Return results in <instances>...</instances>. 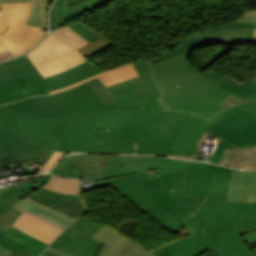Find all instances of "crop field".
I'll return each mask as SVG.
<instances>
[{
    "label": "crop field",
    "mask_w": 256,
    "mask_h": 256,
    "mask_svg": "<svg viewBox=\"0 0 256 256\" xmlns=\"http://www.w3.org/2000/svg\"><path fill=\"white\" fill-rule=\"evenodd\" d=\"M230 171L187 160L184 192L172 194L207 197L184 222L196 234L165 245L153 255L200 256L215 247L222 256H252L245 245L256 243V203L226 202Z\"/></svg>",
    "instance_id": "1"
},
{
    "label": "crop field",
    "mask_w": 256,
    "mask_h": 256,
    "mask_svg": "<svg viewBox=\"0 0 256 256\" xmlns=\"http://www.w3.org/2000/svg\"><path fill=\"white\" fill-rule=\"evenodd\" d=\"M133 64L146 90L113 97L119 111L70 116V126H64L60 139L136 144V154L198 160L200 151L182 157L167 148L189 113L162 111L157 100L161 95L145 60Z\"/></svg>",
    "instance_id": "2"
},
{
    "label": "crop field",
    "mask_w": 256,
    "mask_h": 256,
    "mask_svg": "<svg viewBox=\"0 0 256 256\" xmlns=\"http://www.w3.org/2000/svg\"><path fill=\"white\" fill-rule=\"evenodd\" d=\"M208 135L220 140L210 161L212 163H219L225 148L255 147L256 102L231 107L210 122L190 114L169 147L177 148V155L191 156L194 149H200Z\"/></svg>",
    "instance_id": "3"
},
{
    "label": "crop field",
    "mask_w": 256,
    "mask_h": 256,
    "mask_svg": "<svg viewBox=\"0 0 256 256\" xmlns=\"http://www.w3.org/2000/svg\"><path fill=\"white\" fill-rule=\"evenodd\" d=\"M185 165L186 160L183 171L110 186L171 231L179 230V234L191 235L192 232L181 222L199 207L203 198L171 195V189L183 191Z\"/></svg>",
    "instance_id": "4"
},
{
    "label": "crop field",
    "mask_w": 256,
    "mask_h": 256,
    "mask_svg": "<svg viewBox=\"0 0 256 256\" xmlns=\"http://www.w3.org/2000/svg\"><path fill=\"white\" fill-rule=\"evenodd\" d=\"M160 92L163 98L158 100L163 110L190 112L210 121L222 110L240 104L219 106L215 103L225 100L232 94L239 98L248 97L256 92V83L251 78L242 82L231 79L214 85L160 90Z\"/></svg>",
    "instance_id": "5"
},
{
    "label": "crop field",
    "mask_w": 256,
    "mask_h": 256,
    "mask_svg": "<svg viewBox=\"0 0 256 256\" xmlns=\"http://www.w3.org/2000/svg\"><path fill=\"white\" fill-rule=\"evenodd\" d=\"M14 105L19 118H69V115L118 110L115 103L102 105L87 82L50 96L20 100Z\"/></svg>",
    "instance_id": "6"
},
{
    "label": "crop field",
    "mask_w": 256,
    "mask_h": 256,
    "mask_svg": "<svg viewBox=\"0 0 256 256\" xmlns=\"http://www.w3.org/2000/svg\"><path fill=\"white\" fill-rule=\"evenodd\" d=\"M31 2L2 4L0 41L15 55L33 48L45 32L25 25L30 16Z\"/></svg>",
    "instance_id": "7"
},
{
    "label": "crop field",
    "mask_w": 256,
    "mask_h": 256,
    "mask_svg": "<svg viewBox=\"0 0 256 256\" xmlns=\"http://www.w3.org/2000/svg\"><path fill=\"white\" fill-rule=\"evenodd\" d=\"M189 51L153 66H151L149 59L146 60L159 89L208 85L233 78L228 75L221 76L213 70L199 73L186 60Z\"/></svg>",
    "instance_id": "8"
},
{
    "label": "crop field",
    "mask_w": 256,
    "mask_h": 256,
    "mask_svg": "<svg viewBox=\"0 0 256 256\" xmlns=\"http://www.w3.org/2000/svg\"><path fill=\"white\" fill-rule=\"evenodd\" d=\"M26 55L40 71L43 78L72 68L86 60L76 50L61 43L51 33Z\"/></svg>",
    "instance_id": "9"
},
{
    "label": "crop field",
    "mask_w": 256,
    "mask_h": 256,
    "mask_svg": "<svg viewBox=\"0 0 256 256\" xmlns=\"http://www.w3.org/2000/svg\"><path fill=\"white\" fill-rule=\"evenodd\" d=\"M98 229L99 227L80 217L51 246L74 256H95L102 243L89 237Z\"/></svg>",
    "instance_id": "10"
},
{
    "label": "crop field",
    "mask_w": 256,
    "mask_h": 256,
    "mask_svg": "<svg viewBox=\"0 0 256 256\" xmlns=\"http://www.w3.org/2000/svg\"><path fill=\"white\" fill-rule=\"evenodd\" d=\"M185 43L175 49L150 60L151 64L178 55L188 49L209 46L217 43H253V28L224 29L195 35L183 39Z\"/></svg>",
    "instance_id": "11"
},
{
    "label": "crop field",
    "mask_w": 256,
    "mask_h": 256,
    "mask_svg": "<svg viewBox=\"0 0 256 256\" xmlns=\"http://www.w3.org/2000/svg\"><path fill=\"white\" fill-rule=\"evenodd\" d=\"M0 76L9 89L29 83L36 95L48 94L47 83L26 55L0 64Z\"/></svg>",
    "instance_id": "12"
},
{
    "label": "crop field",
    "mask_w": 256,
    "mask_h": 256,
    "mask_svg": "<svg viewBox=\"0 0 256 256\" xmlns=\"http://www.w3.org/2000/svg\"><path fill=\"white\" fill-rule=\"evenodd\" d=\"M22 141L45 145V152L49 158L53 152L64 124L68 119H20Z\"/></svg>",
    "instance_id": "13"
},
{
    "label": "crop field",
    "mask_w": 256,
    "mask_h": 256,
    "mask_svg": "<svg viewBox=\"0 0 256 256\" xmlns=\"http://www.w3.org/2000/svg\"><path fill=\"white\" fill-rule=\"evenodd\" d=\"M21 191L17 186L11 187L0 195V206L5 210L0 212V235L4 232L40 249L45 250L48 244L20 231L19 229L11 226L14 221L22 214L12 206L20 199L15 195Z\"/></svg>",
    "instance_id": "14"
},
{
    "label": "crop field",
    "mask_w": 256,
    "mask_h": 256,
    "mask_svg": "<svg viewBox=\"0 0 256 256\" xmlns=\"http://www.w3.org/2000/svg\"><path fill=\"white\" fill-rule=\"evenodd\" d=\"M50 173L77 179L99 176L101 175L100 156L85 154L66 156L57 163Z\"/></svg>",
    "instance_id": "15"
},
{
    "label": "crop field",
    "mask_w": 256,
    "mask_h": 256,
    "mask_svg": "<svg viewBox=\"0 0 256 256\" xmlns=\"http://www.w3.org/2000/svg\"><path fill=\"white\" fill-rule=\"evenodd\" d=\"M183 160L157 156V163L134 164L117 167H104V156H101L102 176L94 178H81V181L100 180L105 178L118 177L125 174L139 171L158 169V174L182 170Z\"/></svg>",
    "instance_id": "16"
},
{
    "label": "crop field",
    "mask_w": 256,
    "mask_h": 256,
    "mask_svg": "<svg viewBox=\"0 0 256 256\" xmlns=\"http://www.w3.org/2000/svg\"><path fill=\"white\" fill-rule=\"evenodd\" d=\"M110 0H56L51 8L50 31L66 24L65 18L101 6Z\"/></svg>",
    "instance_id": "17"
},
{
    "label": "crop field",
    "mask_w": 256,
    "mask_h": 256,
    "mask_svg": "<svg viewBox=\"0 0 256 256\" xmlns=\"http://www.w3.org/2000/svg\"><path fill=\"white\" fill-rule=\"evenodd\" d=\"M255 174L232 169L227 201L256 202Z\"/></svg>",
    "instance_id": "18"
},
{
    "label": "crop field",
    "mask_w": 256,
    "mask_h": 256,
    "mask_svg": "<svg viewBox=\"0 0 256 256\" xmlns=\"http://www.w3.org/2000/svg\"><path fill=\"white\" fill-rule=\"evenodd\" d=\"M91 238L104 243L99 251V256H108L116 248H118L128 238L114 230L113 228L103 225ZM119 256H152L137 245H133Z\"/></svg>",
    "instance_id": "19"
},
{
    "label": "crop field",
    "mask_w": 256,
    "mask_h": 256,
    "mask_svg": "<svg viewBox=\"0 0 256 256\" xmlns=\"http://www.w3.org/2000/svg\"><path fill=\"white\" fill-rule=\"evenodd\" d=\"M49 223L27 210L16 220L14 226L50 244L63 230Z\"/></svg>",
    "instance_id": "20"
},
{
    "label": "crop field",
    "mask_w": 256,
    "mask_h": 256,
    "mask_svg": "<svg viewBox=\"0 0 256 256\" xmlns=\"http://www.w3.org/2000/svg\"><path fill=\"white\" fill-rule=\"evenodd\" d=\"M15 133V157L17 161L29 160L38 158L43 163L48 159L45 152L44 146L33 143L21 142V128L17 118L16 110L13 103L8 104Z\"/></svg>",
    "instance_id": "21"
},
{
    "label": "crop field",
    "mask_w": 256,
    "mask_h": 256,
    "mask_svg": "<svg viewBox=\"0 0 256 256\" xmlns=\"http://www.w3.org/2000/svg\"><path fill=\"white\" fill-rule=\"evenodd\" d=\"M56 151L61 152H107V153H131L134 145H119L94 142H74L60 140Z\"/></svg>",
    "instance_id": "22"
},
{
    "label": "crop field",
    "mask_w": 256,
    "mask_h": 256,
    "mask_svg": "<svg viewBox=\"0 0 256 256\" xmlns=\"http://www.w3.org/2000/svg\"><path fill=\"white\" fill-rule=\"evenodd\" d=\"M14 156V133L8 106H0V162Z\"/></svg>",
    "instance_id": "23"
},
{
    "label": "crop field",
    "mask_w": 256,
    "mask_h": 256,
    "mask_svg": "<svg viewBox=\"0 0 256 256\" xmlns=\"http://www.w3.org/2000/svg\"><path fill=\"white\" fill-rule=\"evenodd\" d=\"M220 164L243 169H256V147L236 150L226 149Z\"/></svg>",
    "instance_id": "24"
},
{
    "label": "crop field",
    "mask_w": 256,
    "mask_h": 256,
    "mask_svg": "<svg viewBox=\"0 0 256 256\" xmlns=\"http://www.w3.org/2000/svg\"><path fill=\"white\" fill-rule=\"evenodd\" d=\"M30 197L46 205L52 206L58 210L64 211L77 218L81 216L86 210V208L82 205L81 201L56 199L51 196L44 195L39 191L32 193Z\"/></svg>",
    "instance_id": "25"
},
{
    "label": "crop field",
    "mask_w": 256,
    "mask_h": 256,
    "mask_svg": "<svg viewBox=\"0 0 256 256\" xmlns=\"http://www.w3.org/2000/svg\"><path fill=\"white\" fill-rule=\"evenodd\" d=\"M99 70L92 66L88 61L69 70L62 71L55 75L45 78V81L49 85V89L55 86L63 85L69 81L80 78L88 73Z\"/></svg>",
    "instance_id": "26"
},
{
    "label": "crop field",
    "mask_w": 256,
    "mask_h": 256,
    "mask_svg": "<svg viewBox=\"0 0 256 256\" xmlns=\"http://www.w3.org/2000/svg\"><path fill=\"white\" fill-rule=\"evenodd\" d=\"M137 72L131 62L124 64L120 67L109 69L99 75V78L106 86L113 83L137 76Z\"/></svg>",
    "instance_id": "27"
},
{
    "label": "crop field",
    "mask_w": 256,
    "mask_h": 256,
    "mask_svg": "<svg viewBox=\"0 0 256 256\" xmlns=\"http://www.w3.org/2000/svg\"><path fill=\"white\" fill-rule=\"evenodd\" d=\"M32 1L31 17L27 24L32 26L43 27L46 29V13L48 4L52 0H12V2ZM10 3V0L2 1Z\"/></svg>",
    "instance_id": "28"
},
{
    "label": "crop field",
    "mask_w": 256,
    "mask_h": 256,
    "mask_svg": "<svg viewBox=\"0 0 256 256\" xmlns=\"http://www.w3.org/2000/svg\"><path fill=\"white\" fill-rule=\"evenodd\" d=\"M42 187L55 192L78 195V180L74 179L58 177L54 175Z\"/></svg>",
    "instance_id": "29"
},
{
    "label": "crop field",
    "mask_w": 256,
    "mask_h": 256,
    "mask_svg": "<svg viewBox=\"0 0 256 256\" xmlns=\"http://www.w3.org/2000/svg\"><path fill=\"white\" fill-rule=\"evenodd\" d=\"M54 36H56L60 41L68 44L69 46L73 47L76 50H79L81 47H83L85 44L89 43L86 39L81 37L79 34H77L75 31H73L71 28L63 27L56 29L51 32Z\"/></svg>",
    "instance_id": "30"
},
{
    "label": "crop field",
    "mask_w": 256,
    "mask_h": 256,
    "mask_svg": "<svg viewBox=\"0 0 256 256\" xmlns=\"http://www.w3.org/2000/svg\"><path fill=\"white\" fill-rule=\"evenodd\" d=\"M156 162V156L105 155V166Z\"/></svg>",
    "instance_id": "31"
},
{
    "label": "crop field",
    "mask_w": 256,
    "mask_h": 256,
    "mask_svg": "<svg viewBox=\"0 0 256 256\" xmlns=\"http://www.w3.org/2000/svg\"><path fill=\"white\" fill-rule=\"evenodd\" d=\"M81 23L83 25H85L87 28H89L90 30H92L93 32L97 33L98 35H100L101 37L98 38L97 40L91 42L90 44L84 46L83 48H81L79 51L80 54H82L85 58H88L104 49H106L107 47L111 46L112 43L110 40H108L106 37H104L103 35H101L99 32H97L96 30L92 29L91 27L87 26L86 24H84L82 21Z\"/></svg>",
    "instance_id": "32"
},
{
    "label": "crop field",
    "mask_w": 256,
    "mask_h": 256,
    "mask_svg": "<svg viewBox=\"0 0 256 256\" xmlns=\"http://www.w3.org/2000/svg\"><path fill=\"white\" fill-rule=\"evenodd\" d=\"M52 176H53L52 174H46V175H43V177L40 179L33 178L28 183L19 187L20 190H22L23 192L21 194L17 195V197L21 199V198L27 196L32 191H34L36 188H38V187L42 186L44 183H46Z\"/></svg>",
    "instance_id": "33"
},
{
    "label": "crop field",
    "mask_w": 256,
    "mask_h": 256,
    "mask_svg": "<svg viewBox=\"0 0 256 256\" xmlns=\"http://www.w3.org/2000/svg\"><path fill=\"white\" fill-rule=\"evenodd\" d=\"M87 82L92 87V89L96 92V94L99 96L103 104L114 102L109 91L99 80L91 79Z\"/></svg>",
    "instance_id": "34"
},
{
    "label": "crop field",
    "mask_w": 256,
    "mask_h": 256,
    "mask_svg": "<svg viewBox=\"0 0 256 256\" xmlns=\"http://www.w3.org/2000/svg\"><path fill=\"white\" fill-rule=\"evenodd\" d=\"M23 199L28 201V202H31V203H33V204H35V205H37V206H39V207H41L43 209H46V210L54 213L55 215L59 216L60 218L66 220V221H68L70 223H73L76 220V218H74V217H72V216H70V215H68V214H66L64 212H60V211H58V210H56V209H54L52 207L45 206V205H43V204H41V203H39V202L29 198L28 196L23 198Z\"/></svg>",
    "instance_id": "35"
},
{
    "label": "crop field",
    "mask_w": 256,
    "mask_h": 256,
    "mask_svg": "<svg viewBox=\"0 0 256 256\" xmlns=\"http://www.w3.org/2000/svg\"><path fill=\"white\" fill-rule=\"evenodd\" d=\"M69 27H71L73 30H75L77 33H79L81 36H83L90 42L100 37L97 34L90 31L89 29H87L85 26H83L79 22L75 24H71L69 25Z\"/></svg>",
    "instance_id": "36"
},
{
    "label": "crop field",
    "mask_w": 256,
    "mask_h": 256,
    "mask_svg": "<svg viewBox=\"0 0 256 256\" xmlns=\"http://www.w3.org/2000/svg\"><path fill=\"white\" fill-rule=\"evenodd\" d=\"M142 89H144V87H143L141 81H139V82L131 83V84L122 86L120 88L111 90V92L114 96H116V95L132 92V91H136V90H142Z\"/></svg>",
    "instance_id": "37"
},
{
    "label": "crop field",
    "mask_w": 256,
    "mask_h": 256,
    "mask_svg": "<svg viewBox=\"0 0 256 256\" xmlns=\"http://www.w3.org/2000/svg\"><path fill=\"white\" fill-rule=\"evenodd\" d=\"M32 95H34V93L31 90V91L22 92V93H18V94H15V95L5 97L4 94L0 90V104L10 102V101H14V100H17V99H21V98H24V97L32 96Z\"/></svg>",
    "instance_id": "38"
},
{
    "label": "crop field",
    "mask_w": 256,
    "mask_h": 256,
    "mask_svg": "<svg viewBox=\"0 0 256 256\" xmlns=\"http://www.w3.org/2000/svg\"><path fill=\"white\" fill-rule=\"evenodd\" d=\"M0 89L5 94V96H7L14 93L22 92L23 90H26V91L31 90V87L29 86V84H27V85L9 90L8 87L5 85V83L3 82V80L0 78Z\"/></svg>",
    "instance_id": "39"
},
{
    "label": "crop field",
    "mask_w": 256,
    "mask_h": 256,
    "mask_svg": "<svg viewBox=\"0 0 256 256\" xmlns=\"http://www.w3.org/2000/svg\"><path fill=\"white\" fill-rule=\"evenodd\" d=\"M2 237L11 241V242H13V243H15V244H17V245H19V246H21V247H23V248H25V249H27V250H29V251H31V252H33V253H35V254H37V255L41 254V251L37 250L36 248H34V247L16 239L14 237H11V236H9L5 233L2 235Z\"/></svg>",
    "instance_id": "40"
},
{
    "label": "crop field",
    "mask_w": 256,
    "mask_h": 256,
    "mask_svg": "<svg viewBox=\"0 0 256 256\" xmlns=\"http://www.w3.org/2000/svg\"><path fill=\"white\" fill-rule=\"evenodd\" d=\"M238 27H256V24H249V23H230L228 25H222L219 27H213V28H208L206 30L201 31L200 33L203 32H208V31H213V30H217V29H224V28H238ZM197 33V34H200ZM195 35V34H193ZM192 36V35H191ZM190 37V36H188Z\"/></svg>",
    "instance_id": "41"
},
{
    "label": "crop field",
    "mask_w": 256,
    "mask_h": 256,
    "mask_svg": "<svg viewBox=\"0 0 256 256\" xmlns=\"http://www.w3.org/2000/svg\"><path fill=\"white\" fill-rule=\"evenodd\" d=\"M2 210H4V209H2V208L0 207V211H2ZM0 243H1L2 245H4V246L10 247L11 249H13V250H15L16 252H19V253H21V254H23V255L30 254V255H32V256H37V255H35V254H33V253H31V252H29V251H27V250H25V249L19 247V246L13 244V243H11V242H9V241H7V240L1 238V237H0Z\"/></svg>",
    "instance_id": "42"
},
{
    "label": "crop field",
    "mask_w": 256,
    "mask_h": 256,
    "mask_svg": "<svg viewBox=\"0 0 256 256\" xmlns=\"http://www.w3.org/2000/svg\"><path fill=\"white\" fill-rule=\"evenodd\" d=\"M45 194H48V195H51L53 197H56V198H61V199H70V200H80L79 196H76V195H65V194H59V193H55V192H51V191H48L44 188H39L37 189Z\"/></svg>",
    "instance_id": "43"
},
{
    "label": "crop field",
    "mask_w": 256,
    "mask_h": 256,
    "mask_svg": "<svg viewBox=\"0 0 256 256\" xmlns=\"http://www.w3.org/2000/svg\"><path fill=\"white\" fill-rule=\"evenodd\" d=\"M63 154L64 153L55 152L37 175L42 174L45 169L50 170Z\"/></svg>",
    "instance_id": "44"
},
{
    "label": "crop field",
    "mask_w": 256,
    "mask_h": 256,
    "mask_svg": "<svg viewBox=\"0 0 256 256\" xmlns=\"http://www.w3.org/2000/svg\"><path fill=\"white\" fill-rule=\"evenodd\" d=\"M37 216L43 218L44 220L50 222L51 224H53V225H55V226H57V227H59V228H61L63 230L68 227V226L60 223L59 221L53 219L52 217H50V216H48V215H46V214H44L42 212L40 214H38Z\"/></svg>",
    "instance_id": "45"
},
{
    "label": "crop field",
    "mask_w": 256,
    "mask_h": 256,
    "mask_svg": "<svg viewBox=\"0 0 256 256\" xmlns=\"http://www.w3.org/2000/svg\"><path fill=\"white\" fill-rule=\"evenodd\" d=\"M134 242H132L130 239H128L124 244H122L118 249H116L112 254L109 256H118L121 254L123 251L128 249L130 246H132Z\"/></svg>",
    "instance_id": "46"
},
{
    "label": "crop field",
    "mask_w": 256,
    "mask_h": 256,
    "mask_svg": "<svg viewBox=\"0 0 256 256\" xmlns=\"http://www.w3.org/2000/svg\"><path fill=\"white\" fill-rule=\"evenodd\" d=\"M251 97V96H250ZM249 98V97H248ZM244 100H247V98H237L235 96H230L228 99H226L225 101L221 102V103H217V104H220V105H226V104H233V103H237V102H240V101H244Z\"/></svg>",
    "instance_id": "47"
},
{
    "label": "crop field",
    "mask_w": 256,
    "mask_h": 256,
    "mask_svg": "<svg viewBox=\"0 0 256 256\" xmlns=\"http://www.w3.org/2000/svg\"><path fill=\"white\" fill-rule=\"evenodd\" d=\"M139 77H134V78H131V79H128V80H125V81H122V82H119V83H116L114 85H111V86H108V89L111 90V89H114V88H117L119 86H122V85H125V84H128V83H131V82H135V81H139Z\"/></svg>",
    "instance_id": "48"
},
{
    "label": "crop field",
    "mask_w": 256,
    "mask_h": 256,
    "mask_svg": "<svg viewBox=\"0 0 256 256\" xmlns=\"http://www.w3.org/2000/svg\"><path fill=\"white\" fill-rule=\"evenodd\" d=\"M45 252L50 253V254L55 255V256H71V255H69V254H67V253H64V252H62V251H60V250H58V249H55V248H53V247H51V246H49V247L45 250Z\"/></svg>",
    "instance_id": "49"
},
{
    "label": "crop field",
    "mask_w": 256,
    "mask_h": 256,
    "mask_svg": "<svg viewBox=\"0 0 256 256\" xmlns=\"http://www.w3.org/2000/svg\"><path fill=\"white\" fill-rule=\"evenodd\" d=\"M103 71H105V70L101 69V70H99V71H97V72H94V73H91V74H89V75H87V76H85V77H83V78L77 79V80H75V81L69 82V83H67V84H65V85H63V86L56 87V88H53V89H51V90H54V89H58V88H61V87H64V86L71 85V84L76 83V82H78V81H81V80H83V79H87V78H89V77H92V76H94V75H97V74H99V73H101V72H103ZM51 90H50V91H51Z\"/></svg>",
    "instance_id": "50"
},
{
    "label": "crop field",
    "mask_w": 256,
    "mask_h": 256,
    "mask_svg": "<svg viewBox=\"0 0 256 256\" xmlns=\"http://www.w3.org/2000/svg\"><path fill=\"white\" fill-rule=\"evenodd\" d=\"M21 201H23V200H21ZM23 202H25L26 204H28V205H30V206H32V207H34V208H36V209H38V210H40V211H42V212H44V213H46V214L52 216L53 218H55V219L61 221L62 223L66 224V225H68V226L70 225V223H68V222H66V221H64V220H62V219H60L59 217H57V216H55V215H53V214H51V213H49V212H47V211H45V210L39 208V207H37V206H35V205L31 204V203H28V202H26V201H23Z\"/></svg>",
    "instance_id": "51"
},
{
    "label": "crop field",
    "mask_w": 256,
    "mask_h": 256,
    "mask_svg": "<svg viewBox=\"0 0 256 256\" xmlns=\"http://www.w3.org/2000/svg\"><path fill=\"white\" fill-rule=\"evenodd\" d=\"M234 22H250V23H256V18L251 17H240L238 20Z\"/></svg>",
    "instance_id": "52"
},
{
    "label": "crop field",
    "mask_w": 256,
    "mask_h": 256,
    "mask_svg": "<svg viewBox=\"0 0 256 256\" xmlns=\"http://www.w3.org/2000/svg\"><path fill=\"white\" fill-rule=\"evenodd\" d=\"M14 252H15V251H13V250H11V249L5 247L4 249H2V250L0 251V256H10V255H12Z\"/></svg>",
    "instance_id": "53"
},
{
    "label": "crop field",
    "mask_w": 256,
    "mask_h": 256,
    "mask_svg": "<svg viewBox=\"0 0 256 256\" xmlns=\"http://www.w3.org/2000/svg\"><path fill=\"white\" fill-rule=\"evenodd\" d=\"M11 57H14V55L11 54V53L9 52V50L0 53V61L5 60V59H7V58H11Z\"/></svg>",
    "instance_id": "54"
},
{
    "label": "crop field",
    "mask_w": 256,
    "mask_h": 256,
    "mask_svg": "<svg viewBox=\"0 0 256 256\" xmlns=\"http://www.w3.org/2000/svg\"><path fill=\"white\" fill-rule=\"evenodd\" d=\"M201 256H221L217 250L214 248L208 252H206L205 254L201 255Z\"/></svg>",
    "instance_id": "55"
},
{
    "label": "crop field",
    "mask_w": 256,
    "mask_h": 256,
    "mask_svg": "<svg viewBox=\"0 0 256 256\" xmlns=\"http://www.w3.org/2000/svg\"><path fill=\"white\" fill-rule=\"evenodd\" d=\"M17 204H19V205H21V206L27 208L28 210H30L31 212H33V213L36 214V215H37L38 213H40V211H38V210H36V209H34V208H31V207L27 206L26 204H24V203L21 202V201H19Z\"/></svg>",
    "instance_id": "56"
},
{
    "label": "crop field",
    "mask_w": 256,
    "mask_h": 256,
    "mask_svg": "<svg viewBox=\"0 0 256 256\" xmlns=\"http://www.w3.org/2000/svg\"><path fill=\"white\" fill-rule=\"evenodd\" d=\"M94 77H95V76H94ZM92 78H93V77H92ZM89 79H90V78H89ZM87 80H88V79H87ZM84 81H86V80H83V81H81V82H78V83H76V84H73V85L68 86V87H65V88H61V89H58V90H55V91H51L50 93L53 94V93H56V92H59V91H62V90H65V89L74 87V86H76V85H78V84H80V83H82V82H84Z\"/></svg>",
    "instance_id": "57"
},
{
    "label": "crop field",
    "mask_w": 256,
    "mask_h": 256,
    "mask_svg": "<svg viewBox=\"0 0 256 256\" xmlns=\"http://www.w3.org/2000/svg\"><path fill=\"white\" fill-rule=\"evenodd\" d=\"M242 16H252V17H256V11H254V12H245V14L242 15Z\"/></svg>",
    "instance_id": "58"
},
{
    "label": "crop field",
    "mask_w": 256,
    "mask_h": 256,
    "mask_svg": "<svg viewBox=\"0 0 256 256\" xmlns=\"http://www.w3.org/2000/svg\"><path fill=\"white\" fill-rule=\"evenodd\" d=\"M13 207H15L16 209H18V210L21 211L22 213L25 212V210H26L25 208H23V207H21V206H19V205H17V204L14 205Z\"/></svg>",
    "instance_id": "59"
},
{
    "label": "crop field",
    "mask_w": 256,
    "mask_h": 256,
    "mask_svg": "<svg viewBox=\"0 0 256 256\" xmlns=\"http://www.w3.org/2000/svg\"><path fill=\"white\" fill-rule=\"evenodd\" d=\"M5 50H7V48H5L2 44H0V52Z\"/></svg>",
    "instance_id": "60"
},
{
    "label": "crop field",
    "mask_w": 256,
    "mask_h": 256,
    "mask_svg": "<svg viewBox=\"0 0 256 256\" xmlns=\"http://www.w3.org/2000/svg\"><path fill=\"white\" fill-rule=\"evenodd\" d=\"M254 43H256V28H254Z\"/></svg>",
    "instance_id": "61"
},
{
    "label": "crop field",
    "mask_w": 256,
    "mask_h": 256,
    "mask_svg": "<svg viewBox=\"0 0 256 256\" xmlns=\"http://www.w3.org/2000/svg\"><path fill=\"white\" fill-rule=\"evenodd\" d=\"M254 94H255V93H254ZM252 95H253V94H252ZM254 99H256V96H253V97L249 98L250 101H252V100H254Z\"/></svg>",
    "instance_id": "62"
},
{
    "label": "crop field",
    "mask_w": 256,
    "mask_h": 256,
    "mask_svg": "<svg viewBox=\"0 0 256 256\" xmlns=\"http://www.w3.org/2000/svg\"><path fill=\"white\" fill-rule=\"evenodd\" d=\"M43 255H46V256H52V255H50V254H47V253H45V252L43 253Z\"/></svg>",
    "instance_id": "63"
},
{
    "label": "crop field",
    "mask_w": 256,
    "mask_h": 256,
    "mask_svg": "<svg viewBox=\"0 0 256 256\" xmlns=\"http://www.w3.org/2000/svg\"><path fill=\"white\" fill-rule=\"evenodd\" d=\"M13 256H22V255H20V254L16 253V254H15V255H13Z\"/></svg>",
    "instance_id": "64"
},
{
    "label": "crop field",
    "mask_w": 256,
    "mask_h": 256,
    "mask_svg": "<svg viewBox=\"0 0 256 256\" xmlns=\"http://www.w3.org/2000/svg\"><path fill=\"white\" fill-rule=\"evenodd\" d=\"M4 246H2L1 244H0V250L3 248Z\"/></svg>",
    "instance_id": "65"
},
{
    "label": "crop field",
    "mask_w": 256,
    "mask_h": 256,
    "mask_svg": "<svg viewBox=\"0 0 256 256\" xmlns=\"http://www.w3.org/2000/svg\"><path fill=\"white\" fill-rule=\"evenodd\" d=\"M252 79L256 82V77H253Z\"/></svg>",
    "instance_id": "66"
},
{
    "label": "crop field",
    "mask_w": 256,
    "mask_h": 256,
    "mask_svg": "<svg viewBox=\"0 0 256 256\" xmlns=\"http://www.w3.org/2000/svg\"><path fill=\"white\" fill-rule=\"evenodd\" d=\"M1 3H2V2H1V0H0V6H1Z\"/></svg>",
    "instance_id": "67"
},
{
    "label": "crop field",
    "mask_w": 256,
    "mask_h": 256,
    "mask_svg": "<svg viewBox=\"0 0 256 256\" xmlns=\"http://www.w3.org/2000/svg\"><path fill=\"white\" fill-rule=\"evenodd\" d=\"M255 186H256V183H255Z\"/></svg>",
    "instance_id": "68"
},
{
    "label": "crop field",
    "mask_w": 256,
    "mask_h": 256,
    "mask_svg": "<svg viewBox=\"0 0 256 256\" xmlns=\"http://www.w3.org/2000/svg\"><path fill=\"white\" fill-rule=\"evenodd\" d=\"M41 256H43V255H41Z\"/></svg>",
    "instance_id": "69"
},
{
    "label": "crop field",
    "mask_w": 256,
    "mask_h": 256,
    "mask_svg": "<svg viewBox=\"0 0 256 256\" xmlns=\"http://www.w3.org/2000/svg\"><path fill=\"white\" fill-rule=\"evenodd\" d=\"M15 253H16V252H15ZM15 253H14V254H15Z\"/></svg>",
    "instance_id": "70"
},
{
    "label": "crop field",
    "mask_w": 256,
    "mask_h": 256,
    "mask_svg": "<svg viewBox=\"0 0 256 256\" xmlns=\"http://www.w3.org/2000/svg\"><path fill=\"white\" fill-rule=\"evenodd\" d=\"M0 9H1V7H0Z\"/></svg>",
    "instance_id": "71"
}]
</instances>
